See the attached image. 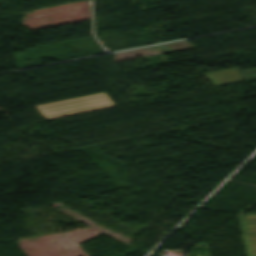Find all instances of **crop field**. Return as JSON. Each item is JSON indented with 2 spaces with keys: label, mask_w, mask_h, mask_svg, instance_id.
Instances as JSON below:
<instances>
[{
  "label": "crop field",
  "mask_w": 256,
  "mask_h": 256,
  "mask_svg": "<svg viewBox=\"0 0 256 256\" xmlns=\"http://www.w3.org/2000/svg\"><path fill=\"white\" fill-rule=\"evenodd\" d=\"M241 230L249 232L242 235L246 256H256V214L238 215Z\"/></svg>",
  "instance_id": "1"
}]
</instances>
